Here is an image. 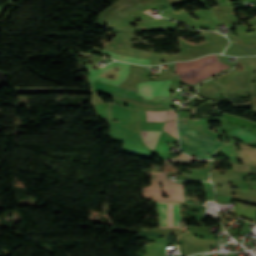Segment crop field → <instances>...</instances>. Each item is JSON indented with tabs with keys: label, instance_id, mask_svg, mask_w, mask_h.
<instances>
[{
	"label": "crop field",
	"instance_id": "17",
	"mask_svg": "<svg viewBox=\"0 0 256 256\" xmlns=\"http://www.w3.org/2000/svg\"><path fill=\"white\" fill-rule=\"evenodd\" d=\"M117 60L149 65L150 60L117 55Z\"/></svg>",
	"mask_w": 256,
	"mask_h": 256
},
{
	"label": "crop field",
	"instance_id": "11",
	"mask_svg": "<svg viewBox=\"0 0 256 256\" xmlns=\"http://www.w3.org/2000/svg\"><path fill=\"white\" fill-rule=\"evenodd\" d=\"M162 131H141L142 138L146 145L154 149Z\"/></svg>",
	"mask_w": 256,
	"mask_h": 256
},
{
	"label": "crop field",
	"instance_id": "13",
	"mask_svg": "<svg viewBox=\"0 0 256 256\" xmlns=\"http://www.w3.org/2000/svg\"><path fill=\"white\" fill-rule=\"evenodd\" d=\"M174 9L175 8H173L171 6H167V8H166L165 12L162 14V16L172 18V19H175L180 22L188 16L187 12L180 11L178 13H175V12H173Z\"/></svg>",
	"mask_w": 256,
	"mask_h": 256
},
{
	"label": "crop field",
	"instance_id": "21",
	"mask_svg": "<svg viewBox=\"0 0 256 256\" xmlns=\"http://www.w3.org/2000/svg\"><path fill=\"white\" fill-rule=\"evenodd\" d=\"M231 164L233 165V170L247 171L249 167V165L245 164Z\"/></svg>",
	"mask_w": 256,
	"mask_h": 256
},
{
	"label": "crop field",
	"instance_id": "8",
	"mask_svg": "<svg viewBox=\"0 0 256 256\" xmlns=\"http://www.w3.org/2000/svg\"><path fill=\"white\" fill-rule=\"evenodd\" d=\"M171 80L139 83V96L151 101L155 95L169 97Z\"/></svg>",
	"mask_w": 256,
	"mask_h": 256
},
{
	"label": "crop field",
	"instance_id": "20",
	"mask_svg": "<svg viewBox=\"0 0 256 256\" xmlns=\"http://www.w3.org/2000/svg\"><path fill=\"white\" fill-rule=\"evenodd\" d=\"M92 53H98V54H105V55H109L112 58L116 59V54L109 52V51H105V50H97V49H92L91 51Z\"/></svg>",
	"mask_w": 256,
	"mask_h": 256
},
{
	"label": "crop field",
	"instance_id": "22",
	"mask_svg": "<svg viewBox=\"0 0 256 256\" xmlns=\"http://www.w3.org/2000/svg\"><path fill=\"white\" fill-rule=\"evenodd\" d=\"M228 16L231 18V20H232L233 22L239 21L238 18H237L236 13H235L234 11H232Z\"/></svg>",
	"mask_w": 256,
	"mask_h": 256
},
{
	"label": "crop field",
	"instance_id": "15",
	"mask_svg": "<svg viewBox=\"0 0 256 256\" xmlns=\"http://www.w3.org/2000/svg\"><path fill=\"white\" fill-rule=\"evenodd\" d=\"M231 135L239 138L240 140L248 143L250 141L256 140V137L252 136L251 134L241 130L240 128L230 132Z\"/></svg>",
	"mask_w": 256,
	"mask_h": 256
},
{
	"label": "crop field",
	"instance_id": "3",
	"mask_svg": "<svg viewBox=\"0 0 256 256\" xmlns=\"http://www.w3.org/2000/svg\"><path fill=\"white\" fill-rule=\"evenodd\" d=\"M178 131L182 150L190 155H200L198 158H212L214 151L224 143L201 135L194 129H187L183 120L178 121ZM205 153H210L206 156Z\"/></svg>",
	"mask_w": 256,
	"mask_h": 256
},
{
	"label": "crop field",
	"instance_id": "2",
	"mask_svg": "<svg viewBox=\"0 0 256 256\" xmlns=\"http://www.w3.org/2000/svg\"><path fill=\"white\" fill-rule=\"evenodd\" d=\"M228 67L210 55L190 62H176L174 71L181 80L195 85Z\"/></svg>",
	"mask_w": 256,
	"mask_h": 256
},
{
	"label": "crop field",
	"instance_id": "12",
	"mask_svg": "<svg viewBox=\"0 0 256 256\" xmlns=\"http://www.w3.org/2000/svg\"><path fill=\"white\" fill-rule=\"evenodd\" d=\"M165 163H173L175 165H182V164H191L195 161H201V162H209L212 160H198V159H194L192 157H189L187 155H185L184 153H181L180 156L173 158V159H169V160H164Z\"/></svg>",
	"mask_w": 256,
	"mask_h": 256
},
{
	"label": "crop field",
	"instance_id": "7",
	"mask_svg": "<svg viewBox=\"0 0 256 256\" xmlns=\"http://www.w3.org/2000/svg\"><path fill=\"white\" fill-rule=\"evenodd\" d=\"M114 65H115V62H113L97 71L95 69V66H87L90 86L93 87L94 80L104 78L101 75L114 69ZM116 68L120 69V71H119L118 76L115 81L110 80L108 78L100 79L98 81H102V82H106V83L118 86L120 82L126 80V76H128L129 64L116 62Z\"/></svg>",
	"mask_w": 256,
	"mask_h": 256
},
{
	"label": "crop field",
	"instance_id": "23",
	"mask_svg": "<svg viewBox=\"0 0 256 256\" xmlns=\"http://www.w3.org/2000/svg\"><path fill=\"white\" fill-rule=\"evenodd\" d=\"M220 4L233 6V5H234V2H224V3H220Z\"/></svg>",
	"mask_w": 256,
	"mask_h": 256
},
{
	"label": "crop field",
	"instance_id": "6",
	"mask_svg": "<svg viewBox=\"0 0 256 256\" xmlns=\"http://www.w3.org/2000/svg\"><path fill=\"white\" fill-rule=\"evenodd\" d=\"M159 227H183L180 203L157 201Z\"/></svg>",
	"mask_w": 256,
	"mask_h": 256
},
{
	"label": "crop field",
	"instance_id": "9",
	"mask_svg": "<svg viewBox=\"0 0 256 256\" xmlns=\"http://www.w3.org/2000/svg\"><path fill=\"white\" fill-rule=\"evenodd\" d=\"M194 14L197 16L199 20L195 21L192 18L188 17L186 20L183 21V23L196 28H206L209 30H213L214 27L219 22L214 18L213 12L209 10H199L194 12Z\"/></svg>",
	"mask_w": 256,
	"mask_h": 256
},
{
	"label": "crop field",
	"instance_id": "1",
	"mask_svg": "<svg viewBox=\"0 0 256 256\" xmlns=\"http://www.w3.org/2000/svg\"><path fill=\"white\" fill-rule=\"evenodd\" d=\"M169 5L166 0H120L100 13L99 20L95 24L107 27L118 32L134 31H165L175 29L179 22L170 23L165 18L156 19L148 14L146 10L157 6ZM134 20H145L136 23L138 26L132 27L129 24ZM105 27V26H104Z\"/></svg>",
	"mask_w": 256,
	"mask_h": 256
},
{
	"label": "crop field",
	"instance_id": "19",
	"mask_svg": "<svg viewBox=\"0 0 256 256\" xmlns=\"http://www.w3.org/2000/svg\"><path fill=\"white\" fill-rule=\"evenodd\" d=\"M250 23H251V25H253L254 27L248 29V26H249V25H245V26L238 27V29L241 30L242 33L245 32V31L247 32V31H249V30H251V29H254L255 32H253L252 34H254V35L256 36V18L253 19L252 21H250Z\"/></svg>",
	"mask_w": 256,
	"mask_h": 256
},
{
	"label": "crop field",
	"instance_id": "10",
	"mask_svg": "<svg viewBox=\"0 0 256 256\" xmlns=\"http://www.w3.org/2000/svg\"><path fill=\"white\" fill-rule=\"evenodd\" d=\"M211 179L216 188V196H231L229 180L226 174H219L217 169H212Z\"/></svg>",
	"mask_w": 256,
	"mask_h": 256
},
{
	"label": "crop field",
	"instance_id": "5",
	"mask_svg": "<svg viewBox=\"0 0 256 256\" xmlns=\"http://www.w3.org/2000/svg\"><path fill=\"white\" fill-rule=\"evenodd\" d=\"M152 177V185L144 189L146 199H158L166 201L184 202L183 185L169 182L165 172L150 173ZM162 183V185H159ZM163 186V188H160ZM163 190V192H161ZM162 194L169 195V198H163Z\"/></svg>",
	"mask_w": 256,
	"mask_h": 256
},
{
	"label": "crop field",
	"instance_id": "18",
	"mask_svg": "<svg viewBox=\"0 0 256 256\" xmlns=\"http://www.w3.org/2000/svg\"><path fill=\"white\" fill-rule=\"evenodd\" d=\"M249 164H256V151L253 150H243Z\"/></svg>",
	"mask_w": 256,
	"mask_h": 256
},
{
	"label": "crop field",
	"instance_id": "16",
	"mask_svg": "<svg viewBox=\"0 0 256 256\" xmlns=\"http://www.w3.org/2000/svg\"><path fill=\"white\" fill-rule=\"evenodd\" d=\"M147 112V121H164L169 111H146Z\"/></svg>",
	"mask_w": 256,
	"mask_h": 256
},
{
	"label": "crop field",
	"instance_id": "14",
	"mask_svg": "<svg viewBox=\"0 0 256 256\" xmlns=\"http://www.w3.org/2000/svg\"><path fill=\"white\" fill-rule=\"evenodd\" d=\"M175 118H176V112L170 111L166 121L173 120ZM164 130L166 132H168L169 134L178 138V135H177V132H176V121L166 123L165 126H164Z\"/></svg>",
	"mask_w": 256,
	"mask_h": 256
},
{
	"label": "crop field",
	"instance_id": "4",
	"mask_svg": "<svg viewBox=\"0 0 256 256\" xmlns=\"http://www.w3.org/2000/svg\"><path fill=\"white\" fill-rule=\"evenodd\" d=\"M176 29H185V28H176ZM190 30V29H186ZM199 31V30H193ZM203 32V31H199ZM206 32H203V34ZM205 38V42L199 45H192L185 43L180 37V43L182 45V51L179 52L177 56V60H190L194 58H198L200 56L210 54V53H222L224 49L229 44V40L218 34L217 32H209L207 34L202 35ZM203 38V39H204Z\"/></svg>",
	"mask_w": 256,
	"mask_h": 256
}]
</instances>
